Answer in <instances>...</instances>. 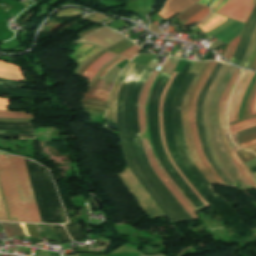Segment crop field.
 Masks as SVG:
<instances>
[{
	"instance_id": "crop-field-22",
	"label": "crop field",
	"mask_w": 256,
	"mask_h": 256,
	"mask_svg": "<svg viewBox=\"0 0 256 256\" xmlns=\"http://www.w3.org/2000/svg\"><path fill=\"white\" fill-rule=\"evenodd\" d=\"M204 6L202 5H198L195 4L194 6L188 8L187 10H185L183 13H181L180 15L176 16L180 22L189 18L190 16H192L193 14H195L196 12H198L199 10H201Z\"/></svg>"
},
{
	"instance_id": "crop-field-20",
	"label": "crop field",
	"mask_w": 256,
	"mask_h": 256,
	"mask_svg": "<svg viewBox=\"0 0 256 256\" xmlns=\"http://www.w3.org/2000/svg\"><path fill=\"white\" fill-rule=\"evenodd\" d=\"M92 47V45H83V46H81L80 48H78L77 50H75L72 54H70L69 55V57H71V58H73V59H75L76 60V63H78L79 65H78V67L84 62V61H86L87 59H88V57L90 56V55H92L95 51H97L99 48H95V49H93V48H91ZM91 48V49H90ZM88 49H90V50H92L91 52H89V51H87ZM87 51V52H86ZM84 52H86V53H88L87 55H85V56H83L82 54L84 53ZM77 67V68H78ZM76 68V69H77ZM76 69H75V71H76ZM74 71V72H75Z\"/></svg>"
},
{
	"instance_id": "crop-field-12",
	"label": "crop field",
	"mask_w": 256,
	"mask_h": 256,
	"mask_svg": "<svg viewBox=\"0 0 256 256\" xmlns=\"http://www.w3.org/2000/svg\"><path fill=\"white\" fill-rule=\"evenodd\" d=\"M239 69L236 68L227 88L225 89L221 99H220V102H219V105H218V124H219V128H220V131H221V134H222V138H223V141L225 143V146L227 148V151H228V154L229 156L231 157V159L234 161L235 165L237 166V168L240 170V172L246 177V179L251 183V185L256 189V185L254 184V182L246 175V173L241 169V167L238 165L236 159L234 158V156L232 155L230 149H229V146H228V143H227V140H226V137H225V134H224V130H223V127H222V122H221V109H222V105H223V102H224V99L227 95V92L236 76V74L238 73Z\"/></svg>"
},
{
	"instance_id": "crop-field-23",
	"label": "crop field",
	"mask_w": 256,
	"mask_h": 256,
	"mask_svg": "<svg viewBox=\"0 0 256 256\" xmlns=\"http://www.w3.org/2000/svg\"><path fill=\"white\" fill-rule=\"evenodd\" d=\"M14 225H7V224H2L6 234L8 237H11L12 235H22L21 229L18 224L13 223Z\"/></svg>"
},
{
	"instance_id": "crop-field-48",
	"label": "crop field",
	"mask_w": 256,
	"mask_h": 256,
	"mask_svg": "<svg viewBox=\"0 0 256 256\" xmlns=\"http://www.w3.org/2000/svg\"><path fill=\"white\" fill-rule=\"evenodd\" d=\"M247 149H250V150H253L255 153H256V145L255 146H252V147H249Z\"/></svg>"
},
{
	"instance_id": "crop-field-52",
	"label": "crop field",
	"mask_w": 256,
	"mask_h": 256,
	"mask_svg": "<svg viewBox=\"0 0 256 256\" xmlns=\"http://www.w3.org/2000/svg\"><path fill=\"white\" fill-rule=\"evenodd\" d=\"M218 0H214L212 5H211V8L213 7V5L217 2Z\"/></svg>"
},
{
	"instance_id": "crop-field-16",
	"label": "crop field",
	"mask_w": 256,
	"mask_h": 256,
	"mask_svg": "<svg viewBox=\"0 0 256 256\" xmlns=\"http://www.w3.org/2000/svg\"><path fill=\"white\" fill-rule=\"evenodd\" d=\"M224 67H225V64H223L221 70L219 71V73H218V75H217V77H216V79H215V81H214V83H213V85H212L210 91L208 90V91H209V93L207 92L208 95L206 94L207 96H206V98H205V100H204V104H203V125H204V129H205V133H206V137H207V141H208V145H209L210 151H211V153H212V155H213V157H214L216 163L219 165V167H220V168L222 169V171L225 173V175L227 176V178L235 185V187L239 188L238 185L232 180V178L226 173V171L224 170V168L222 167V165H221L220 162L218 161V159H217V157H216V155H215V153H214V151H213V148H212L211 142H210V138H209V133H208L207 124H206V117H205V109H206V104H207L208 96H209V94H210V92H211V90H212V88H213V86H214V84H215L217 78L219 77L220 73H221L222 70L224 69Z\"/></svg>"
},
{
	"instance_id": "crop-field-9",
	"label": "crop field",
	"mask_w": 256,
	"mask_h": 256,
	"mask_svg": "<svg viewBox=\"0 0 256 256\" xmlns=\"http://www.w3.org/2000/svg\"><path fill=\"white\" fill-rule=\"evenodd\" d=\"M253 75H254L253 72L244 71L234 91L231 103L228 108V112H227L228 122L238 119V109H239L240 102L246 92V89Z\"/></svg>"
},
{
	"instance_id": "crop-field-1",
	"label": "crop field",
	"mask_w": 256,
	"mask_h": 256,
	"mask_svg": "<svg viewBox=\"0 0 256 256\" xmlns=\"http://www.w3.org/2000/svg\"><path fill=\"white\" fill-rule=\"evenodd\" d=\"M0 183L11 221L41 222L22 158L0 152Z\"/></svg>"
},
{
	"instance_id": "crop-field-30",
	"label": "crop field",
	"mask_w": 256,
	"mask_h": 256,
	"mask_svg": "<svg viewBox=\"0 0 256 256\" xmlns=\"http://www.w3.org/2000/svg\"><path fill=\"white\" fill-rule=\"evenodd\" d=\"M255 40H256V28H255V31H254V33H253V35H252V38H251V41H250L248 50H247V52H246V54H245V58H244V60H243V62H242V64H241L242 67H244L245 64H246V62H247V59H248V57H249V55H250V53H251V50H252V48H253V46H254Z\"/></svg>"
},
{
	"instance_id": "crop-field-39",
	"label": "crop field",
	"mask_w": 256,
	"mask_h": 256,
	"mask_svg": "<svg viewBox=\"0 0 256 256\" xmlns=\"http://www.w3.org/2000/svg\"><path fill=\"white\" fill-rule=\"evenodd\" d=\"M157 62H158V60L152 59V60L150 61V63L147 65V67L153 69L154 66L157 64Z\"/></svg>"
},
{
	"instance_id": "crop-field-42",
	"label": "crop field",
	"mask_w": 256,
	"mask_h": 256,
	"mask_svg": "<svg viewBox=\"0 0 256 256\" xmlns=\"http://www.w3.org/2000/svg\"><path fill=\"white\" fill-rule=\"evenodd\" d=\"M255 94H256V90H255V92H254V94H253V96H252V99H251V101H250V105H249V115L251 114V105H252V101H253V99H254Z\"/></svg>"
},
{
	"instance_id": "crop-field-44",
	"label": "crop field",
	"mask_w": 256,
	"mask_h": 256,
	"mask_svg": "<svg viewBox=\"0 0 256 256\" xmlns=\"http://www.w3.org/2000/svg\"><path fill=\"white\" fill-rule=\"evenodd\" d=\"M209 2V0H200L198 4L206 5Z\"/></svg>"
},
{
	"instance_id": "crop-field-15",
	"label": "crop field",
	"mask_w": 256,
	"mask_h": 256,
	"mask_svg": "<svg viewBox=\"0 0 256 256\" xmlns=\"http://www.w3.org/2000/svg\"><path fill=\"white\" fill-rule=\"evenodd\" d=\"M175 75H176V73L175 72H173V74H172V76L170 77V79H169V81H168V83H167V85H166V87H165V89H164V91H163V94H162V96H161V102H160V109H159V124H160V136H161V140H162V144H163V147H164V149H165V152H166V154H167V157H168V159H169V161L171 162V164L175 167V169L180 173V175L184 178V180L188 183V185L193 189V191L197 194V196L201 199V201L205 204V206L206 207H208L207 205H206V203L202 200V198L198 195V193L194 190V188L189 184V182L186 180V178L184 177V175L181 173V171L177 168V166L174 164V162L172 161V159H171V157H170V155H169V153H168V151H167V148H166V144H165V140H164V136H163V125H162V102H163V97H164V94H165V92L167 91V89H168V87H169V85H170V83H171V81L173 80V78L175 77ZM182 178V179H183Z\"/></svg>"
},
{
	"instance_id": "crop-field-14",
	"label": "crop field",
	"mask_w": 256,
	"mask_h": 256,
	"mask_svg": "<svg viewBox=\"0 0 256 256\" xmlns=\"http://www.w3.org/2000/svg\"><path fill=\"white\" fill-rule=\"evenodd\" d=\"M117 55L113 53H105L100 58H98L96 61H94L83 73L82 77L89 79L88 83L92 80V78L101 70V68L113 60Z\"/></svg>"
},
{
	"instance_id": "crop-field-43",
	"label": "crop field",
	"mask_w": 256,
	"mask_h": 256,
	"mask_svg": "<svg viewBox=\"0 0 256 256\" xmlns=\"http://www.w3.org/2000/svg\"><path fill=\"white\" fill-rule=\"evenodd\" d=\"M228 0H224L215 10L214 12H216L219 8H221Z\"/></svg>"
},
{
	"instance_id": "crop-field-26",
	"label": "crop field",
	"mask_w": 256,
	"mask_h": 256,
	"mask_svg": "<svg viewBox=\"0 0 256 256\" xmlns=\"http://www.w3.org/2000/svg\"><path fill=\"white\" fill-rule=\"evenodd\" d=\"M239 39H240V35L237 36L233 41H231V42L229 43V45H228V47H227V49H226L224 55H223V56H224L226 59H228L229 61H230V59L232 58V56H233V54H234V51H235V49H236V46H237V44H238Z\"/></svg>"
},
{
	"instance_id": "crop-field-38",
	"label": "crop field",
	"mask_w": 256,
	"mask_h": 256,
	"mask_svg": "<svg viewBox=\"0 0 256 256\" xmlns=\"http://www.w3.org/2000/svg\"><path fill=\"white\" fill-rule=\"evenodd\" d=\"M7 101L6 99H0V109L1 110H6L7 108Z\"/></svg>"
},
{
	"instance_id": "crop-field-37",
	"label": "crop field",
	"mask_w": 256,
	"mask_h": 256,
	"mask_svg": "<svg viewBox=\"0 0 256 256\" xmlns=\"http://www.w3.org/2000/svg\"><path fill=\"white\" fill-rule=\"evenodd\" d=\"M256 144V140H252V141H249V142H246V143H243L241 145H238L242 148H245V147H249V146H252V145H255Z\"/></svg>"
},
{
	"instance_id": "crop-field-46",
	"label": "crop field",
	"mask_w": 256,
	"mask_h": 256,
	"mask_svg": "<svg viewBox=\"0 0 256 256\" xmlns=\"http://www.w3.org/2000/svg\"><path fill=\"white\" fill-rule=\"evenodd\" d=\"M29 121H33V120H29ZM29 121H6V120H0V122H29Z\"/></svg>"
},
{
	"instance_id": "crop-field-41",
	"label": "crop field",
	"mask_w": 256,
	"mask_h": 256,
	"mask_svg": "<svg viewBox=\"0 0 256 256\" xmlns=\"http://www.w3.org/2000/svg\"><path fill=\"white\" fill-rule=\"evenodd\" d=\"M102 49H100V50H98L97 52H95L85 63H87L94 55H96L98 52H100ZM85 63H83L81 66H80V68L85 64ZM79 68V69H80ZM79 69L77 70V72L79 71ZM76 72V73H77Z\"/></svg>"
},
{
	"instance_id": "crop-field-50",
	"label": "crop field",
	"mask_w": 256,
	"mask_h": 256,
	"mask_svg": "<svg viewBox=\"0 0 256 256\" xmlns=\"http://www.w3.org/2000/svg\"><path fill=\"white\" fill-rule=\"evenodd\" d=\"M252 69L256 70V57H255V61H254V65H253Z\"/></svg>"
},
{
	"instance_id": "crop-field-40",
	"label": "crop field",
	"mask_w": 256,
	"mask_h": 256,
	"mask_svg": "<svg viewBox=\"0 0 256 256\" xmlns=\"http://www.w3.org/2000/svg\"><path fill=\"white\" fill-rule=\"evenodd\" d=\"M253 114H256V97H255L253 105H252V115Z\"/></svg>"
},
{
	"instance_id": "crop-field-19",
	"label": "crop field",
	"mask_w": 256,
	"mask_h": 256,
	"mask_svg": "<svg viewBox=\"0 0 256 256\" xmlns=\"http://www.w3.org/2000/svg\"><path fill=\"white\" fill-rule=\"evenodd\" d=\"M240 75H241V69H240V71H239V73H238V75H237V77H236V79H235V81H234V83H233V85H232V87H231V89H230V91H229V93H228L226 99H225V102H224V105H223V110H222V121H223V125H226V121H225V111H226V107H227V104H228L229 97H230V95H231V93H232V91H233V89H234V87H235V85H236V83H237V81H238ZM231 150H232L233 155L235 156V158H236L237 161L239 162V164L242 166V168L247 172V174H248V175L252 178V180L256 183V179L252 176V174H251V173L249 172V170L245 167V165L241 163L240 159L238 158L237 154L235 153V150H234L233 146H231Z\"/></svg>"
},
{
	"instance_id": "crop-field-51",
	"label": "crop field",
	"mask_w": 256,
	"mask_h": 256,
	"mask_svg": "<svg viewBox=\"0 0 256 256\" xmlns=\"http://www.w3.org/2000/svg\"><path fill=\"white\" fill-rule=\"evenodd\" d=\"M82 44H78V45H76L74 48H72L71 50H75V49H77L79 46H81Z\"/></svg>"
},
{
	"instance_id": "crop-field-24",
	"label": "crop field",
	"mask_w": 256,
	"mask_h": 256,
	"mask_svg": "<svg viewBox=\"0 0 256 256\" xmlns=\"http://www.w3.org/2000/svg\"><path fill=\"white\" fill-rule=\"evenodd\" d=\"M0 117L33 118L32 114H26V112H11V111H0Z\"/></svg>"
},
{
	"instance_id": "crop-field-49",
	"label": "crop field",
	"mask_w": 256,
	"mask_h": 256,
	"mask_svg": "<svg viewBox=\"0 0 256 256\" xmlns=\"http://www.w3.org/2000/svg\"><path fill=\"white\" fill-rule=\"evenodd\" d=\"M0 119H6V120H29V119H9V118H0Z\"/></svg>"
},
{
	"instance_id": "crop-field-45",
	"label": "crop field",
	"mask_w": 256,
	"mask_h": 256,
	"mask_svg": "<svg viewBox=\"0 0 256 256\" xmlns=\"http://www.w3.org/2000/svg\"><path fill=\"white\" fill-rule=\"evenodd\" d=\"M255 125H256V123H255V124H253V125H250V126H247V127L241 128V129H239V130L233 131V132H231V133H234V132H237V131H240V130H243V129H246V128H249V127H253V126H255ZM231 133H230V134H231Z\"/></svg>"
},
{
	"instance_id": "crop-field-5",
	"label": "crop field",
	"mask_w": 256,
	"mask_h": 256,
	"mask_svg": "<svg viewBox=\"0 0 256 256\" xmlns=\"http://www.w3.org/2000/svg\"><path fill=\"white\" fill-rule=\"evenodd\" d=\"M117 175L122 179V181L133 194L138 203L146 211L151 220L158 217H165V215L162 213L156 203L151 199V197L139 183V181L131 173L128 166L125 167L124 172Z\"/></svg>"
},
{
	"instance_id": "crop-field-47",
	"label": "crop field",
	"mask_w": 256,
	"mask_h": 256,
	"mask_svg": "<svg viewBox=\"0 0 256 256\" xmlns=\"http://www.w3.org/2000/svg\"><path fill=\"white\" fill-rule=\"evenodd\" d=\"M223 0H219L215 5L214 7L211 9L212 11L222 2Z\"/></svg>"
},
{
	"instance_id": "crop-field-53",
	"label": "crop field",
	"mask_w": 256,
	"mask_h": 256,
	"mask_svg": "<svg viewBox=\"0 0 256 256\" xmlns=\"http://www.w3.org/2000/svg\"><path fill=\"white\" fill-rule=\"evenodd\" d=\"M196 3L199 1V0H194Z\"/></svg>"
},
{
	"instance_id": "crop-field-18",
	"label": "crop field",
	"mask_w": 256,
	"mask_h": 256,
	"mask_svg": "<svg viewBox=\"0 0 256 256\" xmlns=\"http://www.w3.org/2000/svg\"><path fill=\"white\" fill-rule=\"evenodd\" d=\"M226 20H227V18L213 13L206 20H204L203 22H201L197 25L206 33L209 30L219 26Z\"/></svg>"
},
{
	"instance_id": "crop-field-4",
	"label": "crop field",
	"mask_w": 256,
	"mask_h": 256,
	"mask_svg": "<svg viewBox=\"0 0 256 256\" xmlns=\"http://www.w3.org/2000/svg\"><path fill=\"white\" fill-rule=\"evenodd\" d=\"M216 62H209L207 68L205 69L204 73L202 74L200 80L198 81L188 104V119L190 123L191 133L194 141V145L196 148L197 155L203 165L206 167V169L209 171V173L213 176V178L218 182L219 185L226 186L225 183L218 177V175L214 172V170L211 168L210 164L208 163L207 159L205 158L202 149L200 147L197 130H196V124H195V116H194V110H195V104L197 96L202 89L204 83L206 82L208 76L210 75L212 69L214 68ZM227 187V186H226Z\"/></svg>"
},
{
	"instance_id": "crop-field-36",
	"label": "crop field",
	"mask_w": 256,
	"mask_h": 256,
	"mask_svg": "<svg viewBox=\"0 0 256 256\" xmlns=\"http://www.w3.org/2000/svg\"><path fill=\"white\" fill-rule=\"evenodd\" d=\"M255 55H256V43H255V46H254V48H253V51H252V53H251V55H250V58H249L248 63H247V65H246L245 68H247V69H250V68H251V66H252V64H253V61H254Z\"/></svg>"
},
{
	"instance_id": "crop-field-27",
	"label": "crop field",
	"mask_w": 256,
	"mask_h": 256,
	"mask_svg": "<svg viewBox=\"0 0 256 256\" xmlns=\"http://www.w3.org/2000/svg\"><path fill=\"white\" fill-rule=\"evenodd\" d=\"M255 87H256V81H255V83H254V85H253V87H252V89H251V91H250V93H249V95H248V97H247L246 103H245V105H244V110H243L242 119H240V120H238V121H235L236 123H237V122H240V121H243V120H246V119H249V118H254V117H256V115H253V116L248 117V114H247L248 103H249L250 98H251V96H252V94H253V92H254Z\"/></svg>"
},
{
	"instance_id": "crop-field-6",
	"label": "crop field",
	"mask_w": 256,
	"mask_h": 256,
	"mask_svg": "<svg viewBox=\"0 0 256 256\" xmlns=\"http://www.w3.org/2000/svg\"><path fill=\"white\" fill-rule=\"evenodd\" d=\"M207 64H208V62H205L201 72L196 73L194 79L192 80L190 86L188 87V89L183 97L182 104H181V118H182V127H183V134H184L185 142H186V145H187V148L189 150L192 160L194 161V163L196 164L198 169L201 171V173L205 176V178L208 180V182L211 185H218L216 183V181L211 177V175L207 172V170L203 167V165L200 163V161L195 153L193 141H192L191 134H190L189 123H188V119H187L188 99L191 95V92H192L197 80L199 79L200 75L202 74V72L205 69V67L207 66Z\"/></svg>"
},
{
	"instance_id": "crop-field-7",
	"label": "crop field",
	"mask_w": 256,
	"mask_h": 256,
	"mask_svg": "<svg viewBox=\"0 0 256 256\" xmlns=\"http://www.w3.org/2000/svg\"><path fill=\"white\" fill-rule=\"evenodd\" d=\"M256 0H229L217 13L245 23Z\"/></svg>"
},
{
	"instance_id": "crop-field-3",
	"label": "crop field",
	"mask_w": 256,
	"mask_h": 256,
	"mask_svg": "<svg viewBox=\"0 0 256 256\" xmlns=\"http://www.w3.org/2000/svg\"><path fill=\"white\" fill-rule=\"evenodd\" d=\"M235 70V67L230 66L228 72L226 73L225 77L221 81L212 101L211 110H210V121L212 126L213 135L216 141L217 148L219 150V153L225 162V164L228 166V168L231 170V172L238 178L240 182H242L249 190L253 189V187L247 182V180L240 174L238 169L235 167V165L232 163L230 157L228 156L226 152V148L224 146V143L221 138V134L218 128L217 124V105L220 99L221 94L223 93L224 89L226 88L233 72Z\"/></svg>"
},
{
	"instance_id": "crop-field-21",
	"label": "crop field",
	"mask_w": 256,
	"mask_h": 256,
	"mask_svg": "<svg viewBox=\"0 0 256 256\" xmlns=\"http://www.w3.org/2000/svg\"><path fill=\"white\" fill-rule=\"evenodd\" d=\"M235 136L240 141V143L256 139V127L235 133Z\"/></svg>"
},
{
	"instance_id": "crop-field-2",
	"label": "crop field",
	"mask_w": 256,
	"mask_h": 256,
	"mask_svg": "<svg viewBox=\"0 0 256 256\" xmlns=\"http://www.w3.org/2000/svg\"><path fill=\"white\" fill-rule=\"evenodd\" d=\"M158 75V72L152 70L151 74L149 75L148 79L146 80L139 96V103H138V118H139V126H140V133H141V138L143 142V146L145 149V153L148 159V162L152 169L155 171L161 182L166 186V188L172 193V195L177 199V201L182 205V207L189 213V215L193 218L196 219L197 215L196 213L192 210V208L183 200V198L179 195V193L175 190V188L171 185V183L168 181V179L165 177V175L162 173V171L159 169L150 145L148 141V135L145 131V124H146V119H145V100H146V94L148 92V89L150 85L152 84L153 80L155 77ZM147 129V128H146Z\"/></svg>"
},
{
	"instance_id": "crop-field-35",
	"label": "crop field",
	"mask_w": 256,
	"mask_h": 256,
	"mask_svg": "<svg viewBox=\"0 0 256 256\" xmlns=\"http://www.w3.org/2000/svg\"><path fill=\"white\" fill-rule=\"evenodd\" d=\"M0 220L8 221L7 216H6V212H5V209H4V205H3V202H2L1 194H0Z\"/></svg>"
},
{
	"instance_id": "crop-field-28",
	"label": "crop field",
	"mask_w": 256,
	"mask_h": 256,
	"mask_svg": "<svg viewBox=\"0 0 256 256\" xmlns=\"http://www.w3.org/2000/svg\"><path fill=\"white\" fill-rule=\"evenodd\" d=\"M237 154L243 163L256 158V155L254 153L246 150L237 151Z\"/></svg>"
},
{
	"instance_id": "crop-field-17",
	"label": "crop field",
	"mask_w": 256,
	"mask_h": 256,
	"mask_svg": "<svg viewBox=\"0 0 256 256\" xmlns=\"http://www.w3.org/2000/svg\"><path fill=\"white\" fill-rule=\"evenodd\" d=\"M0 77L25 81L19 67L0 61Z\"/></svg>"
},
{
	"instance_id": "crop-field-33",
	"label": "crop field",
	"mask_w": 256,
	"mask_h": 256,
	"mask_svg": "<svg viewBox=\"0 0 256 256\" xmlns=\"http://www.w3.org/2000/svg\"><path fill=\"white\" fill-rule=\"evenodd\" d=\"M157 161V163H158V165H159V167L161 168V170L165 173V175L168 177V179L171 181V183L173 184V186L182 194V192L178 189V187L174 184V182L170 179V177L166 174V172L164 171V169H163V167H162V165L160 164V162H159V160L157 159L156 160ZM180 194V195H181ZM183 195V194H182ZM181 195V196H182ZM183 197L185 198V196L183 195ZM187 198V197H186ZM185 198V199H186ZM188 199V198H187ZM186 199V201L189 203V205L193 208V210L196 212V211H198L188 200Z\"/></svg>"
},
{
	"instance_id": "crop-field-32",
	"label": "crop field",
	"mask_w": 256,
	"mask_h": 256,
	"mask_svg": "<svg viewBox=\"0 0 256 256\" xmlns=\"http://www.w3.org/2000/svg\"><path fill=\"white\" fill-rule=\"evenodd\" d=\"M255 122H256V118L250 119V120H246V121H243L241 123L235 124V125L229 127V132H231L233 130H236V129H238L240 127H243V126H247V125L253 124Z\"/></svg>"
},
{
	"instance_id": "crop-field-13",
	"label": "crop field",
	"mask_w": 256,
	"mask_h": 256,
	"mask_svg": "<svg viewBox=\"0 0 256 256\" xmlns=\"http://www.w3.org/2000/svg\"><path fill=\"white\" fill-rule=\"evenodd\" d=\"M193 4L195 3L192 0H167L163 9L158 14L167 19Z\"/></svg>"
},
{
	"instance_id": "crop-field-31",
	"label": "crop field",
	"mask_w": 256,
	"mask_h": 256,
	"mask_svg": "<svg viewBox=\"0 0 256 256\" xmlns=\"http://www.w3.org/2000/svg\"><path fill=\"white\" fill-rule=\"evenodd\" d=\"M139 52H141L140 49L135 45V46L131 47L130 49L124 51L120 55L130 59V58L134 57L135 55H137Z\"/></svg>"
},
{
	"instance_id": "crop-field-11",
	"label": "crop field",
	"mask_w": 256,
	"mask_h": 256,
	"mask_svg": "<svg viewBox=\"0 0 256 256\" xmlns=\"http://www.w3.org/2000/svg\"><path fill=\"white\" fill-rule=\"evenodd\" d=\"M125 59H123L122 57L117 59L116 61H114L112 64H110L100 75L99 77L95 80V82L92 84V86L90 87V89L88 90L87 94L85 95V97L83 98L82 102L84 103L87 99H91V100H97V101H103L106 102L107 100V96L109 94L108 91H103V90H98L95 89L99 80L106 74V72L111 69L112 67H114L116 64L120 63L121 61H123Z\"/></svg>"
},
{
	"instance_id": "crop-field-25",
	"label": "crop field",
	"mask_w": 256,
	"mask_h": 256,
	"mask_svg": "<svg viewBox=\"0 0 256 256\" xmlns=\"http://www.w3.org/2000/svg\"><path fill=\"white\" fill-rule=\"evenodd\" d=\"M208 13H209V8L205 7L198 14H196V15L190 17L189 19H187L189 21H187V22H185L183 24L189 25V24H193V23L199 22V21L203 20L208 15Z\"/></svg>"
},
{
	"instance_id": "crop-field-29",
	"label": "crop field",
	"mask_w": 256,
	"mask_h": 256,
	"mask_svg": "<svg viewBox=\"0 0 256 256\" xmlns=\"http://www.w3.org/2000/svg\"><path fill=\"white\" fill-rule=\"evenodd\" d=\"M177 62H178L177 59L169 58V60L167 61V63L165 64V66L163 67L161 72H164V73H167V74L171 75L172 71L174 70V68L177 64Z\"/></svg>"
},
{
	"instance_id": "crop-field-10",
	"label": "crop field",
	"mask_w": 256,
	"mask_h": 256,
	"mask_svg": "<svg viewBox=\"0 0 256 256\" xmlns=\"http://www.w3.org/2000/svg\"><path fill=\"white\" fill-rule=\"evenodd\" d=\"M133 66H134V63L130 62L126 66V68L120 73V75L113 87L112 93L109 97V104H108L105 118L114 123H116L115 104H116L118 89H119L120 85L122 84L123 80L125 79V77L131 71Z\"/></svg>"
},
{
	"instance_id": "crop-field-34",
	"label": "crop field",
	"mask_w": 256,
	"mask_h": 256,
	"mask_svg": "<svg viewBox=\"0 0 256 256\" xmlns=\"http://www.w3.org/2000/svg\"><path fill=\"white\" fill-rule=\"evenodd\" d=\"M112 84L111 82H107V81H103L101 80V82L99 83V85L97 86L98 89H103V90H108L110 91L111 90V87H112Z\"/></svg>"
},
{
	"instance_id": "crop-field-8",
	"label": "crop field",
	"mask_w": 256,
	"mask_h": 256,
	"mask_svg": "<svg viewBox=\"0 0 256 256\" xmlns=\"http://www.w3.org/2000/svg\"><path fill=\"white\" fill-rule=\"evenodd\" d=\"M124 39L117 32L107 29L105 27L99 28L92 33L80 38L74 43H91L103 49L109 47L110 45Z\"/></svg>"
}]
</instances>
